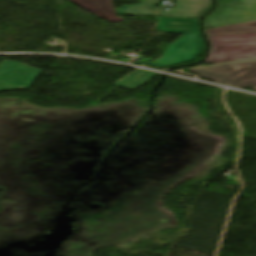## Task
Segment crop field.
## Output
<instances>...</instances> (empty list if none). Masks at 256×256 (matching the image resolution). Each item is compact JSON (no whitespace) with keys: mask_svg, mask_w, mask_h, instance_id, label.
I'll return each mask as SVG.
<instances>
[{"mask_svg":"<svg viewBox=\"0 0 256 256\" xmlns=\"http://www.w3.org/2000/svg\"><path fill=\"white\" fill-rule=\"evenodd\" d=\"M76 5L102 17L109 22H121L123 19L116 16L111 0H70Z\"/></svg>","mask_w":256,"mask_h":256,"instance_id":"6","label":"crop field"},{"mask_svg":"<svg viewBox=\"0 0 256 256\" xmlns=\"http://www.w3.org/2000/svg\"><path fill=\"white\" fill-rule=\"evenodd\" d=\"M205 35H221L233 33L256 32V21L235 24L219 28L205 29Z\"/></svg>","mask_w":256,"mask_h":256,"instance_id":"8","label":"crop field"},{"mask_svg":"<svg viewBox=\"0 0 256 256\" xmlns=\"http://www.w3.org/2000/svg\"><path fill=\"white\" fill-rule=\"evenodd\" d=\"M157 73L144 71L137 69L130 73L129 75L125 76L124 78L120 79L113 85H117L120 87H124L127 89L134 90L145 83H147L149 80H151L153 77H155Z\"/></svg>","mask_w":256,"mask_h":256,"instance_id":"7","label":"crop field"},{"mask_svg":"<svg viewBox=\"0 0 256 256\" xmlns=\"http://www.w3.org/2000/svg\"><path fill=\"white\" fill-rule=\"evenodd\" d=\"M254 92H256V87L251 88Z\"/></svg>","mask_w":256,"mask_h":256,"instance_id":"9","label":"crop field"},{"mask_svg":"<svg viewBox=\"0 0 256 256\" xmlns=\"http://www.w3.org/2000/svg\"><path fill=\"white\" fill-rule=\"evenodd\" d=\"M211 42L205 63L218 64L256 58V33L207 37Z\"/></svg>","mask_w":256,"mask_h":256,"instance_id":"2","label":"crop field"},{"mask_svg":"<svg viewBox=\"0 0 256 256\" xmlns=\"http://www.w3.org/2000/svg\"><path fill=\"white\" fill-rule=\"evenodd\" d=\"M190 71L218 84L236 88L256 86V60Z\"/></svg>","mask_w":256,"mask_h":256,"instance_id":"3","label":"crop field"},{"mask_svg":"<svg viewBox=\"0 0 256 256\" xmlns=\"http://www.w3.org/2000/svg\"><path fill=\"white\" fill-rule=\"evenodd\" d=\"M175 12H162L161 16L201 18L212 6V0H175ZM157 0H141V4L122 6L118 14L153 16Z\"/></svg>","mask_w":256,"mask_h":256,"instance_id":"4","label":"crop field"},{"mask_svg":"<svg viewBox=\"0 0 256 256\" xmlns=\"http://www.w3.org/2000/svg\"><path fill=\"white\" fill-rule=\"evenodd\" d=\"M156 29L164 33L184 34L172 43L155 63L147 65L167 68L197 59L205 48L198 31L197 19L161 17Z\"/></svg>","mask_w":256,"mask_h":256,"instance_id":"1","label":"crop field"},{"mask_svg":"<svg viewBox=\"0 0 256 256\" xmlns=\"http://www.w3.org/2000/svg\"><path fill=\"white\" fill-rule=\"evenodd\" d=\"M41 70L3 60L0 64V91L29 89Z\"/></svg>","mask_w":256,"mask_h":256,"instance_id":"5","label":"crop field"}]
</instances>
